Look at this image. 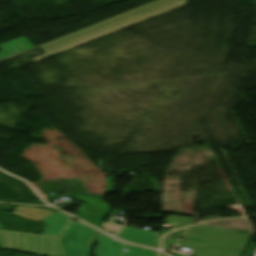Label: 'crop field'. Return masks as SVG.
I'll return each instance as SVG.
<instances>
[{
	"label": "crop field",
	"mask_w": 256,
	"mask_h": 256,
	"mask_svg": "<svg viewBox=\"0 0 256 256\" xmlns=\"http://www.w3.org/2000/svg\"><path fill=\"white\" fill-rule=\"evenodd\" d=\"M250 238L248 235L203 225L177 244L193 250L191 256H241Z\"/></svg>",
	"instance_id": "1"
},
{
	"label": "crop field",
	"mask_w": 256,
	"mask_h": 256,
	"mask_svg": "<svg viewBox=\"0 0 256 256\" xmlns=\"http://www.w3.org/2000/svg\"><path fill=\"white\" fill-rule=\"evenodd\" d=\"M0 248L43 256H62L60 238L0 230Z\"/></svg>",
	"instance_id": "2"
},
{
	"label": "crop field",
	"mask_w": 256,
	"mask_h": 256,
	"mask_svg": "<svg viewBox=\"0 0 256 256\" xmlns=\"http://www.w3.org/2000/svg\"><path fill=\"white\" fill-rule=\"evenodd\" d=\"M98 233L81 222L71 220L61 239L63 256H88L91 252L90 242Z\"/></svg>",
	"instance_id": "3"
},
{
	"label": "crop field",
	"mask_w": 256,
	"mask_h": 256,
	"mask_svg": "<svg viewBox=\"0 0 256 256\" xmlns=\"http://www.w3.org/2000/svg\"><path fill=\"white\" fill-rule=\"evenodd\" d=\"M181 1H183V0H170V1H168V2L162 3V4H160V5H157V6H155V7H152V8H150V9L144 10V11L139 12V13H137V14L131 15V16L126 17V18H124V19L118 20V21L113 22V23H111V24H108V25H105V26L100 27V28H98V29H95V30H92V31H90V32H87V33L82 34V35H80V36L74 37V38H72V39H69V40H67V41L61 42V43L56 44V45H54V46L48 47V48H46V50H48L49 52H51V51H53V50L59 49V48L64 47V46H66V45L72 44V43L77 42V41H79V40L85 39V38L90 37V36H92V35L98 34V33L103 32V31H105V30L111 29V28H113V27H116V26H118V25H121V24H123V23L129 22V21H131V20H134V19H136V18L142 17V16H144V15H147V14H149V13L155 12V11H157V10H160V9H162V8L168 7V6H170V5H173V4L178 3V2H181Z\"/></svg>",
	"instance_id": "4"
},
{
	"label": "crop field",
	"mask_w": 256,
	"mask_h": 256,
	"mask_svg": "<svg viewBox=\"0 0 256 256\" xmlns=\"http://www.w3.org/2000/svg\"><path fill=\"white\" fill-rule=\"evenodd\" d=\"M160 233L126 227L115 237L134 244L158 248Z\"/></svg>",
	"instance_id": "5"
},
{
	"label": "crop field",
	"mask_w": 256,
	"mask_h": 256,
	"mask_svg": "<svg viewBox=\"0 0 256 256\" xmlns=\"http://www.w3.org/2000/svg\"><path fill=\"white\" fill-rule=\"evenodd\" d=\"M34 48L32 43L26 37H19L6 43L0 44V60L23 51Z\"/></svg>",
	"instance_id": "6"
},
{
	"label": "crop field",
	"mask_w": 256,
	"mask_h": 256,
	"mask_svg": "<svg viewBox=\"0 0 256 256\" xmlns=\"http://www.w3.org/2000/svg\"><path fill=\"white\" fill-rule=\"evenodd\" d=\"M114 243L116 244L115 246ZM123 245L114 241L112 238L100 234L98 238V243L95 248L96 256H121Z\"/></svg>",
	"instance_id": "7"
},
{
	"label": "crop field",
	"mask_w": 256,
	"mask_h": 256,
	"mask_svg": "<svg viewBox=\"0 0 256 256\" xmlns=\"http://www.w3.org/2000/svg\"><path fill=\"white\" fill-rule=\"evenodd\" d=\"M69 218L70 217L67 215L58 212L49 216L45 221L42 222L43 224H47L42 235L59 237Z\"/></svg>",
	"instance_id": "8"
},
{
	"label": "crop field",
	"mask_w": 256,
	"mask_h": 256,
	"mask_svg": "<svg viewBox=\"0 0 256 256\" xmlns=\"http://www.w3.org/2000/svg\"><path fill=\"white\" fill-rule=\"evenodd\" d=\"M75 199L86 201L88 205L78 207V212L105 216L110 212V206L98 199L87 198L77 195Z\"/></svg>",
	"instance_id": "9"
},
{
	"label": "crop field",
	"mask_w": 256,
	"mask_h": 256,
	"mask_svg": "<svg viewBox=\"0 0 256 256\" xmlns=\"http://www.w3.org/2000/svg\"><path fill=\"white\" fill-rule=\"evenodd\" d=\"M125 249H128V250L127 252H124V256H156L157 255L156 251H152V250H148V249H144V248H140V247H136L128 244H125Z\"/></svg>",
	"instance_id": "10"
},
{
	"label": "crop field",
	"mask_w": 256,
	"mask_h": 256,
	"mask_svg": "<svg viewBox=\"0 0 256 256\" xmlns=\"http://www.w3.org/2000/svg\"><path fill=\"white\" fill-rule=\"evenodd\" d=\"M97 228H99L100 230L104 231V229L100 226L99 221L101 220V216H95V215H89V214H83V213H79V214H71Z\"/></svg>",
	"instance_id": "11"
},
{
	"label": "crop field",
	"mask_w": 256,
	"mask_h": 256,
	"mask_svg": "<svg viewBox=\"0 0 256 256\" xmlns=\"http://www.w3.org/2000/svg\"><path fill=\"white\" fill-rule=\"evenodd\" d=\"M175 243V239H165L163 243V249L167 250L168 247Z\"/></svg>",
	"instance_id": "12"
},
{
	"label": "crop field",
	"mask_w": 256,
	"mask_h": 256,
	"mask_svg": "<svg viewBox=\"0 0 256 256\" xmlns=\"http://www.w3.org/2000/svg\"><path fill=\"white\" fill-rule=\"evenodd\" d=\"M160 256H165V255H163V254L160 253Z\"/></svg>",
	"instance_id": "13"
}]
</instances>
